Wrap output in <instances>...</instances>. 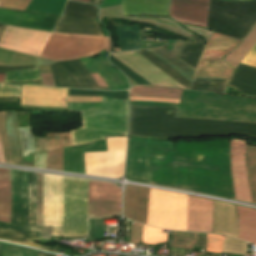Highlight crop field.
<instances>
[{
	"mask_svg": "<svg viewBox=\"0 0 256 256\" xmlns=\"http://www.w3.org/2000/svg\"><path fill=\"white\" fill-rule=\"evenodd\" d=\"M246 141L231 139L232 177L236 199L251 202L245 169Z\"/></svg>",
	"mask_w": 256,
	"mask_h": 256,
	"instance_id": "crop-field-15",
	"label": "crop field"
},
{
	"mask_svg": "<svg viewBox=\"0 0 256 256\" xmlns=\"http://www.w3.org/2000/svg\"><path fill=\"white\" fill-rule=\"evenodd\" d=\"M150 189L126 185L124 216L146 224Z\"/></svg>",
	"mask_w": 256,
	"mask_h": 256,
	"instance_id": "crop-field-19",
	"label": "crop field"
},
{
	"mask_svg": "<svg viewBox=\"0 0 256 256\" xmlns=\"http://www.w3.org/2000/svg\"><path fill=\"white\" fill-rule=\"evenodd\" d=\"M50 33L6 26L0 47L39 57Z\"/></svg>",
	"mask_w": 256,
	"mask_h": 256,
	"instance_id": "crop-field-11",
	"label": "crop field"
},
{
	"mask_svg": "<svg viewBox=\"0 0 256 256\" xmlns=\"http://www.w3.org/2000/svg\"><path fill=\"white\" fill-rule=\"evenodd\" d=\"M256 43V27L251 31V33L246 37V39L241 43V45L236 48L230 55H228L224 60L231 65L236 67V65L243 59V57L250 51V49Z\"/></svg>",
	"mask_w": 256,
	"mask_h": 256,
	"instance_id": "crop-field-28",
	"label": "crop field"
},
{
	"mask_svg": "<svg viewBox=\"0 0 256 256\" xmlns=\"http://www.w3.org/2000/svg\"><path fill=\"white\" fill-rule=\"evenodd\" d=\"M50 67L56 87L109 90L99 74H89L79 59L59 62Z\"/></svg>",
	"mask_w": 256,
	"mask_h": 256,
	"instance_id": "crop-field-10",
	"label": "crop field"
},
{
	"mask_svg": "<svg viewBox=\"0 0 256 256\" xmlns=\"http://www.w3.org/2000/svg\"><path fill=\"white\" fill-rule=\"evenodd\" d=\"M51 230H52V228L44 227L43 231H42L41 237L49 240L50 239Z\"/></svg>",
	"mask_w": 256,
	"mask_h": 256,
	"instance_id": "crop-field-48",
	"label": "crop field"
},
{
	"mask_svg": "<svg viewBox=\"0 0 256 256\" xmlns=\"http://www.w3.org/2000/svg\"><path fill=\"white\" fill-rule=\"evenodd\" d=\"M10 170L0 169V221L10 223Z\"/></svg>",
	"mask_w": 256,
	"mask_h": 256,
	"instance_id": "crop-field-26",
	"label": "crop field"
},
{
	"mask_svg": "<svg viewBox=\"0 0 256 256\" xmlns=\"http://www.w3.org/2000/svg\"><path fill=\"white\" fill-rule=\"evenodd\" d=\"M172 232L170 247H183L192 249L196 243L197 233L193 232Z\"/></svg>",
	"mask_w": 256,
	"mask_h": 256,
	"instance_id": "crop-field-33",
	"label": "crop field"
},
{
	"mask_svg": "<svg viewBox=\"0 0 256 256\" xmlns=\"http://www.w3.org/2000/svg\"><path fill=\"white\" fill-rule=\"evenodd\" d=\"M112 55L137 72L152 85H166L184 88L135 51L115 53Z\"/></svg>",
	"mask_w": 256,
	"mask_h": 256,
	"instance_id": "crop-field-14",
	"label": "crop field"
},
{
	"mask_svg": "<svg viewBox=\"0 0 256 256\" xmlns=\"http://www.w3.org/2000/svg\"><path fill=\"white\" fill-rule=\"evenodd\" d=\"M97 8L91 4L68 1L62 15L74 18L95 19Z\"/></svg>",
	"mask_w": 256,
	"mask_h": 256,
	"instance_id": "crop-field-29",
	"label": "crop field"
},
{
	"mask_svg": "<svg viewBox=\"0 0 256 256\" xmlns=\"http://www.w3.org/2000/svg\"><path fill=\"white\" fill-rule=\"evenodd\" d=\"M20 140L24 154L34 152V140L31 127L19 128Z\"/></svg>",
	"mask_w": 256,
	"mask_h": 256,
	"instance_id": "crop-field-36",
	"label": "crop field"
},
{
	"mask_svg": "<svg viewBox=\"0 0 256 256\" xmlns=\"http://www.w3.org/2000/svg\"><path fill=\"white\" fill-rule=\"evenodd\" d=\"M36 173L11 170V225L0 223V239L56 252L58 248L34 244L43 227L35 226Z\"/></svg>",
	"mask_w": 256,
	"mask_h": 256,
	"instance_id": "crop-field-3",
	"label": "crop field"
},
{
	"mask_svg": "<svg viewBox=\"0 0 256 256\" xmlns=\"http://www.w3.org/2000/svg\"><path fill=\"white\" fill-rule=\"evenodd\" d=\"M6 129L10 140L12 152L23 158L15 112H6Z\"/></svg>",
	"mask_w": 256,
	"mask_h": 256,
	"instance_id": "crop-field-31",
	"label": "crop field"
},
{
	"mask_svg": "<svg viewBox=\"0 0 256 256\" xmlns=\"http://www.w3.org/2000/svg\"><path fill=\"white\" fill-rule=\"evenodd\" d=\"M67 89H52L39 86H23L21 105L66 107L61 98H65Z\"/></svg>",
	"mask_w": 256,
	"mask_h": 256,
	"instance_id": "crop-field-18",
	"label": "crop field"
},
{
	"mask_svg": "<svg viewBox=\"0 0 256 256\" xmlns=\"http://www.w3.org/2000/svg\"><path fill=\"white\" fill-rule=\"evenodd\" d=\"M246 167L252 201L256 204V147L248 146Z\"/></svg>",
	"mask_w": 256,
	"mask_h": 256,
	"instance_id": "crop-field-32",
	"label": "crop field"
},
{
	"mask_svg": "<svg viewBox=\"0 0 256 256\" xmlns=\"http://www.w3.org/2000/svg\"><path fill=\"white\" fill-rule=\"evenodd\" d=\"M176 151H150V183L234 197L229 140L175 143Z\"/></svg>",
	"mask_w": 256,
	"mask_h": 256,
	"instance_id": "crop-field-1",
	"label": "crop field"
},
{
	"mask_svg": "<svg viewBox=\"0 0 256 256\" xmlns=\"http://www.w3.org/2000/svg\"><path fill=\"white\" fill-rule=\"evenodd\" d=\"M184 44L185 43L183 42L177 41L170 52L163 47L148 49V51L186 77L188 80H191L194 70L178 59Z\"/></svg>",
	"mask_w": 256,
	"mask_h": 256,
	"instance_id": "crop-field-23",
	"label": "crop field"
},
{
	"mask_svg": "<svg viewBox=\"0 0 256 256\" xmlns=\"http://www.w3.org/2000/svg\"><path fill=\"white\" fill-rule=\"evenodd\" d=\"M88 180L64 177V218H87ZM121 189L89 180L88 218L120 215Z\"/></svg>",
	"mask_w": 256,
	"mask_h": 256,
	"instance_id": "crop-field-4",
	"label": "crop field"
},
{
	"mask_svg": "<svg viewBox=\"0 0 256 256\" xmlns=\"http://www.w3.org/2000/svg\"><path fill=\"white\" fill-rule=\"evenodd\" d=\"M44 226L61 227L63 218V177L44 175ZM61 229L53 228L52 236L59 237Z\"/></svg>",
	"mask_w": 256,
	"mask_h": 256,
	"instance_id": "crop-field-12",
	"label": "crop field"
},
{
	"mask_svg": "<svg viewBox=\"0 0 256 256\" xmlns=\"http://www.w3.org/2000/svg\"><path fill=\"white\" fill-rule=\"evenodd\" d=\"M69 111L81 112L82 127L71 129L73 146L103 140L104 136L127 135L126 100L102 97V103H69Z\"/></svg>",
	"mask_w": 256,
	"mask_h": 256,
	"instance_id": "crop-field-5",
	"label": "crop field"
},
{
	"mask_svg": "<svg viewBox=\"0 0 256 256\" xmlns=\"http://www.w3.org/2000/svg\"><path fill=\"white\" fill-rule=\"evenodd\" d=\"M107 151L105 141L79 148H64V171L85 173L83 152Z\"/></svg>",
	"mask_w": 256,
	"mask_h": 256,
	"instance_id": "crop-field-22",
	"label": "crop field"
},
{
	"mask_svg": "<svg viewBox=\"0 0 256 256\" xmlns=\"http://www.w3.org/2000/svg\"><path fill=\"white\" fill-rule=\"evenodd\" d=\"M177 109L131 107L129 134L174 137L243 133L256 136V124L175 118Z\"/></svg>",
	"mask_w": 256,
	"mask_h": 256,
	"instance_id": "crop-field-2",
	"label": "crop field"
},
{
	"mask_svg": "<svg viewBox=\"0 0 256 256\" xmlns=\"http://www.w3.org/2000/svg\"><path fill=\"white\" fill-rule=\"evenodd\" d=\"M105 48L110 49L108 37L52 33L40 57L71 60L95 55Z\"/></svg>",
	"mask_w": 256,
	"mask_h": 256,
	"instance_id": "crop-field-6",
	"label": "crop field"
},
{
	"mask_svg": "<svg viewBox=\"0 0 256 256\" xmlns=\"http://www.w3.org/2000/svg\"><path fill=\"white\" fill-rule=\"evenodd\" d=\"M241 63H245L256 67V44L251 49V51L245 56V58L241 61Z\"/></svg>",
	"mask_w": 256,
	"mask_h": 256,
	"instance_id": "crop-field-42",
	"label": "crop field"
},
{
	"mask_svg": "<svg viewBox=\"0 0 256 256\" xmlns=\"http://www.w3.org/2000/svg\"><path fill=\"white\" fill-rule=\"evenodd\" d=\"M222 241H223V236L207 234L206 251L221 253Z\"/></svg>",
	"mask_w": 256,
	"mask_h": 256,
	"instance_id": "crop-field-38",
	"label": "crop field"
},
{
	"mask_svg": "<svg viewBox=\"0 0 256 256\" xmlns=\"http://www.w3.org/2000/svg\"><path fill=\"white\" fill-rule=\"evenodd\" d=\"M213 201L188 195L187 230L212 233Z\"/></svg>",
	"mask_w": 256,
	"mask_h": 256,
	"instance_id": "crop-field-16",
	"label": "crop field"
},
{
	"mask_svg": "<svg viewBox=\"0 0 256 256\" xmlns=\"http://www.w3.org/2000/svg\"><path fill=\"white\" fill-rule=\"evenodd\" d=\"M80 1H86V2H89L90 0H80Z\"/></svg>",
	"mask_w": 256,
	"mask_h": 256,
	"instance_id": "crop-field-50",
	"label": "crop field"
},
{
	"mask_svg": "<svg viewBox=\"0 0 256 256\" xmlns=\"http://www.w3.org/2000/svg\"><path fill=\"white\" fill-rule=\"evenodd\" d=\"M55 32L103 36L95 20L62 17Z\"/></svg>",
	"mask_w": 256,
	"mask_h": 256,
	"instance_id": "crop-field-24",
	"label": "crop field"
},
{
	"mask_svg": "<svg viewBox=\"0 0 256 256\" xmlns=\"http://www.w3.org/2000/svg\"><path fill=\"white\" fill-rule=\"evenodd\" d=\"M4 76H5V75H0V82H3V81H4Z\"/></svg>",
	"mask_w": 256,
	"mask_h": 256,
	"instance_id": "crop-field-49",
	"label": "crop field"
},
{
	"mask_svg": "<svg viewBox=\"0 0 256 256\" xmlns=\"http://www.w3.org/2000/svg\"><path fill=\"white\" fill-rule=\"evenodd\" d=\"M108 152L84 153L86 173L118 178L123 176L127 137L106 138Z\"/></svg>",
	"mask_w": 256,
	"mask_h": 256,
	"instance_id": "crop-field-9",
	"label": "crop field"
},
{
	"mask_svg": "<svg viewBox=\"0 0 256 256\" xmlns=\"http://www.w3.org/2000/svg\"><path fill=\"white\" fill-rule=\"evenodd\" d=\"M182 90L157 87V86H137L132 87L130 95H142V96H161V97H174L180 98Z\"/></svg>",
	"mask_w": 256,
	"mask_h": 256,
	"instance_id": "crop-field-27",
	"label": "crop field"
},
{
	"mask_svg": "<svg viewBox=\"0 0 256 256\" xmlns=\"http://www.w3.org/2000/svg\"><path fill=\"white\" fill-rule=\"evenodd\" d=\"M46 153L36 155V165L44 168Z\"/></svg>",
	"mask_w": 256,
	"mask_h": 256,
	"instance_id": "crop-field-47",
	"label": "crop field"
},
{
	"mask_svg": "<svg viewBox=\"0 0 256 256\" xmlns=\"http://www.w3.org/2000/svg\"><path fill=\"white\" fill-rule=\"evenodd\" d=\"M47 156L45 168L63 171V147L72 146L70 132L47 133Z\"/></svg>",
	"mask_w": 256,
	"mask_h": 256,
	"instance_id": "crop-field-20",
	"label": "crop field"
},
{
	"mask_svg": "<svg viewBox=\"0 0 256 256\" xmlns=\"http://www.w3.org/2000/svg\"><path fill=\"white\" fill-rule=\"evenodd\" d=\"M162 229L144 226L142 241L147 244H157L167 240V234L162 233Z\"/></svg>",
	"mask_w": 256,
	"mask_h": 256,
	"instance_id": "crop-field-35",
	"label": "crop field"
},
{
	"mask_svg": "<svg viewBox=\"0 0 256 256\" xmlns=\"http://www.w3.org/2000/svg\"><path fill=\"white\" fill-rule=\"evenodd\" d=\"M239 239L256 244V210L237 206Z\"/></svg>",
	"mask_w": 256,
	"mask_h": 256,
	"instance_id": "crop-field-25",
	"label": "crop field"
},
{
	"mask_svg": "<svg viewBox=\"0 0 256 256\" xmlns=\"http://www.w3.org/2000/svg\"><path fill=\"white\" fill-rule=\"evenodd\" d=\"M68 102H101V97L68 96Z\"/></svg>",
	"mask_w": 256,
	"mask_h": 256,
	"instance_id": "crop-field-43",
	"label": "crop field"
},
{
	"mask_svg": "<svg viewBox=\"0 0 256 256\" xmlns=\"http://www.w3.org/2000/svg\"><path fill=\"white\" fill-rule=\"evenodd\" d=\"M44 86H54L53 78L51 73L40 74Z\"/></svg>",
	"mask_w": 256,
	"mask_h": 256,
	"instance_id": "crop-field-46",
	"label": "crop field"
},
{
	"mask_svg": "<svg viewBox=\"0 0 256 256\" xmlns=\"http://www.w3.org/2000/svg\"><path fill=\"white\" fill-rule=\"evenodd\" d=\"M42 180H43V174L37 173V181H36V212H37V222H36V225H40V226H43Z\"/></svg>",
	"mask_w": 256,
	"mask_h": 256,
	"instance_id": "crop-field-37",
	"label": "crop field"
},
{
	"mask_svg": "<svg viewBox=\"0 0 256 256\" xmlns=\"http://www.w3.org/2000/svg\"><path fill=\"white\" fill-rule=\"evenodd\" d=\"M31 0H1L0 7L25 10Z\"/></svg>",
	"mask_w": 256,
	"mask_h": 256,
	"instance_id": "crop-field-40",
	"label": "crop field"
},
{
	"mask_svg": "<svg viewBox=\"0 0 256 256\" xmlns=\"http://www.w3.org/2000/svg\"><path fill=\"white\" fill-rule=\"evenodd\" d=\"M22 86L0 84V98L20 97Z\"/></svg>",
	"mask_w": 256,
	"mask_h": 256,
	"instance_id": "crop-field-39",
	"label": "crop field"
},
{
	"mask_svg": "<svg viewBox=\"0 0 256 256\" xmlns=\"http://www.w3.org/2000/svg\"><path fill=\"white\" fill-rule=\"evenodd\" d=\"M209 0H172L170 16L178 22L204 27Z\"/></svg>",
	"mask_w": 256,
	"mask_h": 256,
	"instance_id": "crop-field-17",
	"label": "crop field"
},
{
	"mask_svg": "<svg viewBox=\"0 0 256 256\" xmlns=\"http://www.w3.org/2000/svg\"><path fill=\"white\" fill-rule=\"evenodd\" d=\"M130 100H141V101H159V102H172L179 103L180 100L174 99H161V98H149V97H139V96H129Z\"/></svg>",
	"mask_w": 256,
	"mask_h": 256,
	"instance_id": "crop-field-45",
	"label": "crop field"
},
{
	"mask_svg": "<svg viewBox=\"0 0 256 256\" xmlns=\"http://www.w3.org/2000/svg\"><path fill=\"white\" fill-rule=\"evenodd\" d=\"M168 0H122L124 15L153 14L167 16Z\"/></svg>",
	"mask_w": 256,
	"mask_h": 256,
	"instance_id": "crop-field-21",
	"label": "crop field"
},
{
	"mask_svg": "<svg viewBox=\"0 0 256 256\" xmlns=\"http://www.w3.org/2000/svg\"><path fill=\"white\" fill-rule=\"evenodd\" d=\"M87 233V219H63L61 236L87 235ZM83 237L85 236H74L72 238Z\"/></svg>",
	"mask_w": 256,
	"mask_h": 256,
	"instance_id": "crop-field-30",
	"label": "crop field"
},
{
	"mask_svg": "<svg viewBox=\"0 0 256 256\" xmlns=\"http://www.w3.org/2000/svg\"><path fill=\"white\" fill-rule=\"evenodd\" d=\"M19 127L30 126L29 113L16 112Z\"/></svg>",
	"mask_w": 256,
	"mask_h": 256,
	"instance_id": "crop-field-44",
	"label": "crop field"
},
{
	"mask_svg": "<svg viewBox=\"0 0 256 256\" xmlns=\"http://www.w3.org/2000/svg\"><path fill=\"white\" fill-rule=\"evenodd\" d=\"M150 149L174 150V147L171 142H153L131 138L126 178L149 183Z\"/></svg>",
	"mask_w": 256,
	"mask_h": 256,
	"instance_id": "crop-field-13",
	"label": "crop field"
},
{
	"mask_svg": "<svg viewBox=\"0 0 256 256\" xmlns=\"http://www.w3.org/2000/svg\"><path fill=\"white\" fill-rule=\"evenodd\" d=\"M19 110V99H0V111Z\"/></svg>",
	"mask_w": 256,
	"mask_h": 256,
	"instance_id": "crop-field-41",
	"label": "crop field"
},
{
	"mask_svg": "<svg viewBox=\"0 0 256 256\" xmlns=\"http://www.w3.org/2000/svg\"><path fill=\"white\" fill-rule=\"evenodd\" d=\"M41 79L36 69L11 71L6 73L7 82H26Z\"/></svg>",
	"mask_w": 256,
	"mask_h": 256,
	"instance_id": "crop-field-34",
	"label": "crop field"
},
{
	"mask_svg": "<svg viewBox=\"0 0 256 256\" xmlns=\"http://www.w3.org/2000/svg\"><path fill=\"white\" fill-rule=\"evenodd\" d=\"M187 195L151 189L147 224L186 230Z\"/></svg>",
	"mask_w": 256,
	"mask_h": 256,
	"instance_id": "crop-field-7",
	"label": "crop field"
},
{
	"mask_svg": "<svg viewBox=\"0 0 256 256\" xmlns=\"http://www.w3.org/2000/svg\"><path fill=\"white\" fill-rule=\"evenodd\" d=\"M239 40L213 33L208 40L193 77L229 79L233 69L221 60Z\"/></svg>",
	"mask_w": 256,
	"mask_h": 256,
	"instance_id": "crop-field-8",
	"label": "crop field"
}]
</instances>
